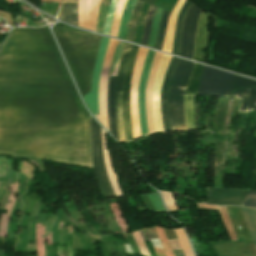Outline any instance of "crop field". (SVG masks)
<instances>
[{"mask_svg":"<svg viewBox=\"0 0 256 256\" xmlns=\"http://www.w3.org/2000/svg\"><path fill=\"white\" fill-rule=\"evenodd\" d=\"M0 153L92 167L88 113L44 28H15L0 51Z\"/></svg>","mask_w":256,"mask_h":256,"instance_id":"crop-field-1","label":"crop field"},{"mask_svg":"<svg viewBox=\"0 0 256 256\" xmlns=\"http://www.w3.org/2000/svg\"><path fill=\"white\" fill-rule=\"evenodd\" d=\"M53 32L81 94L88 92L101 36L88 35L62 27H54Z\"/></svg>","mask_w":256,"mask_h":256,"instance_id":"crop-field-2","label":"crop field"},{"mask_svg":"<svg viewBox=\"0 0 256 256\" xmlns=\"http://www.w3.org/2000/svg\"><path fill=\"white\" fill-rule=\"evenodd\" d=\"M193 62L179 60L170 90L169 116L172 130H186L183 106V91L189 79Z\"/></svg>","mask_w":256,"mask_h":256,"instance_id":"crop-field-3","label":"crop field"},{"mask_svg":"<svg viewBox=\"0 0 256 256\" xmlns=\"http://www.w3.org/2000/svg\"><path fill=\"white\" fill-rule=\"evenodd\" d=\"M233 76L205 66L197 94L230 98Z\"/></svg>","mask_w":256,"mask_h":256,"instance_id":"crop-field-4","label":"crop field"},{"mask_svg":"<svg viewBox=\"0 0 256 256\" xmlns=\"http://www.w3.org/2000/svg\"><path fill=\"white\" fill-rule=\"evenodd\" d=\"M91 123V141H92V159L94 165L95 177L98 182L102 197H115L113 189L107 179L106 169L103 162L100 126L90 117Z\"/></svg>","mask_w":256,"mask_h":256,"instance_id":"crop-field-5","label":"crop field"},{"mask_svg":"<svg viewBox=\"0 0 256 256\" xmlns=\"http://www.w3.org/2000/svg\"><path fill=\"white\" fill-rule=\"evenodd\" d=\"M202 10L191 3L184 19L179 55L192 60L196 25Z\"/></svg>","mask_w":256,"mask_h":256,"instance_id":"crop-field-6","label":"crop field"},{"mask_svg":"<svg viewBox=\"0 0 256 256\" xmlns=\"http://www.w3.org/2000/svg\"><path fill=\"white\" fill-rule=\"evenodd\" d=\"M203 65L194 64L192 73L185 91L191 93H197L199 86ZM195 103L196 95L188 94L184 92V106L186 116L187 131L195 129Z\"/></svg>","mask_w":256,"mask_h":256,"instance_id":"crop-field-7","label":"crop field"},{"mask_svg":"<svg viewBox=\"0 0 256 256\" xmlns=\"http://www.w3.org/2000/svg\"><path fill=\"white\" fill-rule=\"evenodd\" d=\"M108 38L102 36L98 54L95 60V64L92 71V83H91V92L82 96L85 102L87 103L88 107L92 111V113L96 116L99 120L98 115V85H99V77L100 71L103 63V58L105 54V50L108 43Z\"/></svg>","mask_w":256,"mask_h":256,"instance_id":"crop-field-8","label":"crop field"},{"mask_svg":"<svg viewBox=\"0 0 256 256\" xmlns=\"http://www.w3.org/2000/svg\"><path fill=\"white\" fill-rule=\"evenodd\" d=\"M131 49V44H125V48L123 51V55L121 58L119 70H118V78L115 87V104H116V116H117V128H118V136L119 142L126 141L124 127H123V110H122V87L125 76V69L127 60L129 57Z\"/></svg>","mask_w":256,"mask_h":256,"instance_id":"crop-field-9","label":"crop field"},{"mask_svg":"<svg viewBox=\"0 0 256 256\" xmlns=\"http://www.w3.org/2000/svg\"><path fill=\"white\" fill-rule=\"evenodd\" d=\"M112 39V38H111ZM109 41L108 49L106 52V56L104 59L102 71H101V78H100V85H99V115H100V122L105 126L108 130L107 124V82H108V73L110 69V64L114 52V48L116 45L115 40ZM109 131V130H108Z\"/></svg>","mask_w":256,"mask_h":256,"instance_id":"crop-field-10","label":"crop field"},{"mask_svg":"<svg viewBox=\"0 0 256 256\" xmlns=\"http://www.w3.org/2000/svg\"><path fill=\"white\" fill-rule=\"evenodd\" d=\"M147 49L139 48L137 55L133 76H132V91H131V121L134 139L141 137L138 124V110H137V90L139 84L140 73L143 67Z\"/></svg>","mask_w":256,"mask_h":256,"instance_id":"crop-field-11","label":"crop field"},{"mask_svg":"<svg viewBox=\"0 0 256 256\" xmlns=\"http://www.w3.org/2000/svg\"><path fill=\"white\" fill-rule=\"evenodd\" d=\"M248 192L220 188H207V203L243 206Z\"/></svg>","mask_w":256,"mask_h":256,"instance_id":"crop-field-12","label":"crop field"},{"mask_svg":"<svg viewBox=\"0 0 256 256\" xmlns=\"http://www.w3.org/2000/svg\"><path fill=\"white\" fill-rule=\"evenodd\" d=\"M138 46H132L128 67L126 71L125 76V82L123 87V109H124V127H125V133H126V139L131 140L132 134H131V123H130V81L132 76V70L135 62V57L138 51Z\"/></svg>","mask_w":256,"mask_h":256,"instance_id":"crop-field-13","label":"crop field"},{"mask_svg":"<svg viewBox=\"0 0 256 256\" xmlns=\"http://www.w3.org/2000/svg\"><path fill=\"white\" fill-rule=\"evenodd\" d=\"M154 51H148L144 67L141 73V80L139 84V90H138V106H139V123H140V130L142 136L147 135V126H146V114H145V88H146V82L150 70V65L152 58L154 56Z\"/></svg>","mask_w":256,"mask_h":256,"instance_id":"crop-field-14","label":"crop field"},{"mask_svg":"<svg viewBox=\"0 0 256 256\" xmlns=\"http://www.w3.org/2000/svg\"><path fill=\"white\" fill-rule=\"evenodd\" d=\"M210 17H211L210 14L202 12L199 17L198 25H197L193 60L203 62V63L205 60Z\"/></svg>","mask_w":256,"mask_h":256,"instance_id":"crop-field-15","label":"crop field"},{"mask_svg":"<svg viewBox=\"0 0 256 256\" xmlns=\"http://www.w3.org/2000/svg\"><path fill=\"white\" fill-rule=\"evenodd\" d=\"M100 0L78 1V26L89 30L95 28Z\"/></svg>","mask_w":256,"mask_h":256,"instance_id":"crop-field-16","label":"crop field"},{"mask_svg":"<svg viewBox=\"0 0 256 256\" xmlns=\"http://www.w3.org/2000/svg\"><path fill=\"white\" fill-rule=\"evenodd\" d=\"M170 58H171L170 56H167L165 54L163 55L160 62L155 85L153 88V108H154V121H155L156 132L163 131L161 113H160V88H161V83L166 71V67L170 61Z\"/></svg>","mask_w":256,"mask_h":256,"instance_id":"crop-field-17","label":"crop field"},{"mask_svg":"<svg viewBox=\"0 0 256 256\" xmlns=\"http://www.w3.org/2000/svg\"><path fill=\"white\" fill-rule=\"evenodd\" d=\"M162 54L161 53H155V56L152 61L151 65V71L147 83L146 88V114H147V125H148V131L150 133H154V121H153V110H152V88L154 85V81L157 74V68L160 62Z\"/></svg>","mask_w":256,"mask_h":256,"instance_id":"crop-field-18","label":"crop field"},{"mask_svg":"<svg viewBox=\"0 0 256 256\" xmlns=\"http://www.w3.org/2000/svg\"><path fill=\"white\" fill-rule=\"evenodd\" d=\"M232 98L242 99L238 112H248L256 109V88L237 90Z\"/></svg>","mask_w":256,"mask_h":256,"instance_id":"crop-field-19","label":"crop field"},{"mask_svg":"<svg viewBox=\"0 0 256 256\" xmlns=\"http://www.w3.org/2000/svg\"><path fill=\"white\" fill-rule=\"evenodd\" d=\"M115 78L109 79L108 83V118H109V127L110 133L118 141L117 129H116V118H115V106H114V87H115Z\"/></svg>","mask_w":256,"mask_h":256,"instance_id":"crop-field-20","label":"crop field"},{"mask_svg":"<svg viewBox=\"0 0 256 256\" xmlns=\"http://www.w3.org/2000/svg\"><path fill=\"white\" fill-rule=\"evenodd\" d=\"M184 2H185V0H179V2L175 6V8L170 16L167 31H166L165 41H164V45H163V49H162L163 51H166L169 53L171 51L172 35H173V29H174L176 16Z\"/></svg>","mask_w":256,"mask_h":256,"instance_id":"crop-field-21","label":"crop field"},{"mask_svg":"<svg viewBox=\"0 0 256 256\" xmlns=\"http://www.w3.org/2000/svg\"><path fill=\"white\" fill-rule=\"evenodd\" d=\"M101 134H102L103 155H104V161H105L108 177H109V180L111 182V185L114 189V192H115L116 196L120 197V196H123V195L120 191L116 175L113 174V172L111 170L110 161H109V154H108V151H106V146H105V132L103 131L102 128H101Z\"/></svg>","mask_w":256,"mask_h":256,"instance_id":"crop-field-22","label":"crop field"},{"mask_svg":"<svg viewBox=\"0 0 256 256\" xmlns=\"http://www.w3.org/2000/svg\"><path fill=\"white\" fill-rule=\"evenodd\" d=\"M190 3L191 2L186 0L185 4L183 5L182 9L180 10V12L178 14L176 25H175L174 37H173L172 52H171L173 54L178 55L182 22H183L185 12H186L188 6L190 5Z\"/></svg>","mask_w":256,"mask_h":256,"instance_id":"crop-field-23","label":"crop field"},{"mask_svg":"<svg viewBox=\"0 0 256 256\" xmlns=\"http://www.w3.org/2000/svg\"><path fill=\"white\" fill-rule=\"evenodd\" d=\"M60 18L77 26V4L64 3L61 7Z\"/></svg>","mask_w":256,"mask_h":256,"instance_id":"crop-field-24","label":"crop field"},{"mask_svg":"<svg viewBox=\"0 0 256 256\" xmlns=\"http://www.w3.org/2000/svg\"><path fill=\"white\" fill-rule=\"evenodd\" d=\"M135 2H136V0H127L126 6L124 9L122 18H121L120 28H119V32H118V36H117L119 38L125 39V34H126V30H127L129 17H130V14L132 12Z\"/></svg>","mask_w":256,"mask_h":256,"instance_id":"crop-field-25","label":"crop field"},{"mask_svg":"<svg viewBox=\"0 0 256 256\" xmlns=\"http://www.w3.org/2000/svg\"><path fill=\"white\" fill-rule=\"evenodd\" d=\"M256 246V210L241 208Z\"/></svg>","mask_w":256,"mask_h":256,"instance_id":"crop-field-26","label":"crop field"},{"mask_svg":"<svg viewBox=\"0 0 256 256\" xmlns=\"http://www.w3.org/2000/svg\"><path fill=\"white\" fill-rule=\"evenodd\" d=\"M142 2L137 1L136 5L133 9V12L131 14V19H130V24H129V28H128V33H127V40H130L133 42L134 40V35H135V31H136V25H137V19H138V14L140 12L141 6H142Z\"/></svg>","mask_w":256,"mask_h":256,"instance_id":"crop-field-27","label":"crop field"},{"mask_svg":"<svg viewBox=\"0 0 256 256\" xmlns=\"http://www.w3.org/2000/svg\"><path fill=\"white\" fill-rule=\"evenodd\" d=\"M178 60L179 59H177V58H173V57L171 58V61L169 63V66L167 68V71H166V74H165V77H164V80L162 83V90L169 91V88H170L171 82H172V78L174 76V73H175V70L177 67Z\"/></svg>","mask_w":256,"mask_h":256,"instance_id":"crop-field-28","label":"crop field"},{"mask_svg":"<svg viewBox=\"0 0 256 256\" xmlns=\"http://www.w3.org/2000/svg\"><path fill=\"white\" fill-rule=\"evenodd\" d=\"M170 12L163 11L162 17H161V22L159 26V31H158V36H157V41L156 45L154 48L156 49H162L163 41H164V35H165V29L167 25V21L169 18Z\"/></svg>","mask_w":256,"mask_h":256,"instance_id":"crop-field-29","label":"crop field"},{"mask_svg":"<svg viewBox=\"0 0 256 256\" xmlns=\"http://www.w3.org/2000/svg\"><path fill=\"white\" fill-rule=\"evenodd\" d=\"M168 93L169 92H161V109L164 131H171L167 107Z\"/></svg>","mask_w":256,"mask_h":256,"instance_id":"crop-field-30","label":"crop field"},{"mask_svg":"<svg viewBox=\"0 0 256 256\" xmlns=\"http://www.w3.org/2000/svg\"><path fill=\"white\" fill-rule=\"evenodd\" d=\"M162 11L163 10L158 7L155 11L153 22H152V27H151V34H150V38H149L148 45H147L148 47H152V48L154 47Z\"/></svg>","mask_w":256,"mask_h":256,"instance_id":"crop-field-31","label":"crop field"},{"mask_svg":"<svg viewBox=\"0 0 256 256\" xmlns=\"http://www.w3.org/2000/svg\"><path fill=\"white\" fill-rule=\"evenodd\" d=\"M126 0H118L115 12H114V19H113V25L111 29V36H117L118 32V27H119V22H120V17L121 13L123 11L124 5H125Z\"/></svg>","mask_w":256,"mask_h":256,"instance_id":"crop-field-32","label":"crop field"},{"mask_svg":"<svg viewBox=\"0 0 256 256\" xmlns=\"http://www.w3.org/2000/svg\"><path fill=\"white\" fill-rule=\"evenodd\" d=\"M124 44L125 43H123V42H119V41L117 42L111 69H110V73H109V78L115 76L117 73V69H118V65H119V61H120V57H121V54L123 51Z\"/></svg>","mask_w":256,"mask_h":256,"instance_id":"crop-field-33","label":"crop field"},{"mask_svg":"<svg viewBox=\"0 0 256 256\" xmlns=\"http://www.w3.org/2000/svg\"><path fill=\"white\" fill-rule=\"evenodd\" d=\"M177 239L185 256H194L183 230H175Z\"/></svg>","mask_w":256,"mask_h":256,"instance_id":"crop-field-34","label":"crop field"},{"mask_svg":"<svg viewBox=\"0 0 256 256\" xmlns=\"http://www.w3.org/2000/svg\"><path fill=\"white\" fill-rule=\"evenodd\" d=\"M154 11H155V7L150 6L149 11H148V15H147V18H146L144 30H143V36H142V42H141V44L145 45V46L147 45L150 26H151V21H152Z\"/></svg>","mask_w":256,"mask_h":256,"instance_id":"crop-field-35","label":"crop field"},{"mask_svg":"<svg viewBox=\"0 0 256 256\" xmlns=\"http://www.w3.org/2000/svg\"><path fill=\"white\" fill-rule=\"evenodd\" d=\"M243 87H256V81L235 75L232 90Z\"/></svg>","mask_w":256,"mask_h":256,"instance_id":"crop-field-36","label":"crop field"},{"mask_svg":"<svg viewBox=\"0 0 256 256\" xmlns=\"http://www.w3.org/2000/svg\"><path fill=\"white\" fill-rule=\"evenodd\" d=\"M219 207V211L221 214V218H222V222L226 228V231L230 237L231 240H237L234 234V231L232 229L231 223L229 221V218L227 216L226 210L224 207L218 206Z\"/></svg>","mask_w":256,"mask_h":256,"instance_id":"crop-field-37","label":"crop field"},{"mask_svg":"<svg viewBox=\"0 0 256 256\" xmlns=\"http://www.w3.org/2000/svg\"><path fill=\"white\" fill-rule=\"evenodd\" d=\"M147 196L149 197L152 205L154 206L156 212H166L162 202L160 200V197L158 195V193H154V194H147Z\"/></svg>","mask_w":256,"mask_h":256,"instance_id":"crop-field-38","label":"crop field"},{"mask_svg":"<svg viewBox=\"0 0 256 256\" xmlns=\"http://www.w3.org/2000/svg\"><path fill=\"white\" fill-rule=\"evenodd\" d=\"M132 235H133V237H134V239H135V241H136V243L139 247V250H140L141 254L150 255V253H149V251H148V249H147L139 231L133 233Z\"/></svg>","mask_w":256,"mask_h":256,"instance_id":"crop-field-39","label":"crop field"},{"mask_svg":"<svg viewBox=\"0 0 256 256\" xmlns=\"http://www.w3.org/2000/svg\"><path fill=\"white\" fill-rule=\"evenodd\" d=\"M161 194L170 212L178 208L172 194L166 192Z\"/></svg>","mask_w":256,"mask_h":256,"instance_id":"crop-field-40","label":"crop field"},{"mask_svg":"<svg viewBox=\"0 0 256 256\" xmlns=\"http://www.w3.org/2000/svg\"><path fill=\"white\" fill-rule=\"evenodd\" d=\"M244 206L256 208V193H254V192L248 193V196H247Z\"/></svg>","mask_w":256,"mask_h":256,"instance_id":"crop-field-41","label":"crop field"},{"mask_svg":"<svg viewBox=\"0 0 256 256\" xmlns=\"http://www.w3.org/2000/svg\"><path fill=\"white\" fill-rule=\"evenodd\" d=\"M147 230H148V233H149L151 238H158L153 227L152 228H148Z\"/></svg>","mask_w":256,"mask_h":256,"instance_id":"crop-field-42","label":"crop field"},{"mask_svg":"<svg viewBox=\"0 0 256 256\" xmlns=\"http://www.w3.org/2000/svg\"><path fill=\"white\" fill-rule=\"evenodd\" d=\"M140 1L154 5L156 0H140Z\"/></svg>","mask_w":256,"mask_h":256,"instance_id":"crop-field-43","label":"crop field"}]
</instances>
